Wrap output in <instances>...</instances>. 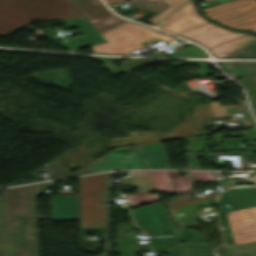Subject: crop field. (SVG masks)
<instances>
[{
  "instance_id": "obj_1",
  "label": "crop field",
  "mask_w": 256,
  "mask_h": 256,
  "mask_svg": "<svg viewBox=\"0 0 256 256\" xmlns=\"http://www.w3.org/2000/svg\"><path fill=\"white\" fill-rule=\"evenodd\" d=\"M46 184L0 193V256H37L34 196Z\"/></svg>"
},
{
  "instance_id": "obj_2",
  "label": "crop field",
  "mask_w": 256,
  "mask_h": 256,
  "mask_svg": "<svg viewBox=\"0 0 256 256\" xmlns=\"http://www.w3.org/2000/svg\"><path fill=\"white\" fill-rule=\"evenodd\" d=\"M132 211L137 225L154 237L149 239L154 251L166 250L168 256H211L207 245L180 243L160 201Z\"/></svg>"
},
{
  "instance_id": "obj_3",
  "label": "crop field",
  "mask_w": 256,
  "mask_h": 256,
  "mask_svg": "<svg viewBox=\"0 0 256 256\" xmlns=\"http://www.w3.org/2000/svg\"><path fill=\"white\" fill-rule=\"evenodd\" d=\"M65 0H7L0 2V35L11 34L34 20L79 17Z\"/></svg>"
},
{
  "instance_id": "obj_4",
  "label": "crop field",
  "mask_w": 256,
  "mask_h": 256,
  "mask_svg": "<svg viewBox=\"0 0 256 256\" xmlns=\"http://www.w3.org/2000/svg\"><path fill=\"white\" fill-rule=\"evenodd\" d=\"M107 42L92 46L94 53L133 55L132 50L142 49V42L163 38L164 41L178 40L147 26L126 21L102 33Z\"/></svg>"
},
{
  "instance_id": "obj_5",
  "label": "crop field",
  "mask_w": 256,
  "mask_h": 256,
  "mask_svg": "<svg viewBox=\"0 0 256 256\" xmlns=\"http://www.w3.org/2000/svg\"><path fill=\"white\" fill-rule=\"evenodd\" d=\"M80 228H104L108 173L79 178Z\"/></svg>"
},
{
  "instance_id": "obj_6",
  "label": "crop field",
  "mask_w": 256,
  "mask_h": 256,
  "mask_svg": "<svg viewBox=\"0 0 256 256\" xmlns=\"http://www.w3.org/2000/svg\"><path fill=\"white\" fill-rule=\"evenodd\" d=\"M206 15L229 27L256 30V1L234 0L204 10Z\"/></svg>"
},
{
  "instance_id": "obj_7",
  "label": "crop field",
  "mask_w": 256,
  "mask_h": 256,
  "mask_svg": "<svg viewBox=\"0 0 256 256\" xmlns=\"http://www.w3.org/2000/svg\"><path fill=\"white\" fill-rule=\"evenodd\" d=\"M177 34L191 38L208 48H212L216 45L245 35L243 33L224 29L213 23H208Z\"/></svg>"
},
{
  "instance_id": "obj_8",
  "label": "crop field",
  "mask_w": 256,
  "mask_h": 256,
  "mask_svg": "<svg viewBox=\"0 0 256 256\" xmlns=\"http://www.w3.org/2000/svg\"><path fill=\"white\" fill-rule=\"evenodd\" d=\"M227 216L236 243L256 240V218L247 209L229 212Z\"/></svg>"
},
{
  "instance_id": "obj_9",
  "label": "crop field",
  "mask_w": 256,
  "mask_h": 256,
  "mask_svg": "<svg viewBox=\"0 0 256 256\" xmlns=\"http://www.w3.org/2000/svg\"><path fill=\"white\" fill-rule=\"evenodd\" d=\"M206 23L208 21L197 13L193 3H188L165 20L159 28L177 33Z\"/></svg>"
},
{
  "instance_id": "obj_10",
  "label": "crop field",
  "mask_w": 256,
  "mask_h": 256,
  "mask_svg": "<svg viewBox=\"0 0 256 256\" xmlns=\"http://www.w3.org/2000/svg\"><path fill=\"white\" fill-rule=\"evenodd\" d=\"M68 28L78 27L84 36L67 38L71 50L105 42L103 36L89 23L86 18L63 20Z\"/></svg>"
},
{
  "instance_id": "obj_11",
  "label": "crop field",
  "mask_w": 256,
  "mask_h": 256,
  "mask_svg": "<svg viewBox=\"0 0 256 256\" xmlns=\"http://www.w3.org/2000/svg\"><path fill=\"white\" fill-rule=\"evenodd\" d=\"M200 106H202V108L198 106L195 107L193 116L192 113H186L184 122L181 123L188 134L196 131L197 127L205 123L210 118L227 117L225 106L221 107L220 103L218 102H210ZM192 124H196L197 126L194 127ZM188 128L190 129L189 131Z\"/></svg>"
},
{
  "instance_id": "obj_12",
  "label": "crop field",
  "mask_w": 256,
  "mask_h": 256,
  "mask_svg": "<svg viewBox=\"0 0 256 256\" xmlns=\"http://www.w3.org/2000/svg\"><path fill=\"white\" fill-rule=\"evenodd\" d=\"M104 157H107L108 161L100 162L97 160L88 165V168L92 173L116 168H143L142 163H140L137 158L136 152H112ZM91 168H93V170Z\"/></svg>"
},
{
  "instance_id": "obj_13",
  "label": "crop field",
  "mask_w": 256,
  "mask_h": 256,
  "mask_svg": "<svg viewBox=\"0 0 256 256\" xmlns=\"http://www.w3.org/2000/svg\"><path fill=\"white\" fill-rule=\"evenodd\" d=\"M52 221H77V196H50Z\"/></svg>"
},
{
  "instance_id": "obj_14",
  "label": "crop field",
  "mask_w": 256,
  "mask_h": 256,
  "mask_svg": "<svg viewBox=\"0 0 256 256\" xmlns=\"http://www.w3.org/2000/svg\"><path fill=\"white\" fill-rule=\"evenodd\" d=\"M80 1L88 7L84 10L93 17L88 20L100 33L125 21L109 12L104 5L94 6L90 0Z\"/></svg>"
},
{
  "instance_id": "obj_15",
  "label": "crop field",
  "mask_w": 256,
  "mask_h": 256,
  "mask_svg": "<svg viewBox=\"0 0 256 256\" xmlns=\"http://www.w3.org/2000/svg\"><path fill=\"white\" fill-rule=\"evenodd\" d=\"M136 148L147 169H169L162 144L154 143Z\"/></svg>"
},
{
  "instance_id": "obj_16",
  "label": "crop field",
  "mask_w": 256,
  "mask_h": 256,
  "mask_svg": "<svg viewBox=\"0 0 256 256\" xmlns=\"http://www.w3.org/2000/svg\"><path fill=\"white\" fill-rule=\"evenodd\" d=\"M131 177L122 178L126 187H137V193L156 191L146 171H129ZM128 181L129 183H126Z\"/></svg>"
},
{
  "instance_id": "obj_17",
  "label": "crop field",
  "mask_w": 256,
  "mask_h": 256,
  "mask_svg": "<svg viewBox=\"0 0 256 256\" xmlns=\"http://www.w3.org/2000/svg\"><path fill=\"white\" fill-rule=\"evenodd\" d=\"M74 149L79 158L76 157L73 148L63 153L71 169L83 167L85 164L92 161L90 152L85 143L74 147Z\"/></svg>"
},
{
  "instance_id": "obj_18",
  "label": "crop field",
  "mask_w": 256,
  "mask_h": 256,
  "mask_svg": "<svg viewBox=\"0 0 256 256\" xmlns=\"http://www.w3.org/2000/svg\"><path fill=\"white\" fill-rule=\"evenodd\" d=\"M57 77H62L61 79L55 80L53 78H57ZM31 78L37 79L39 81H46L45 83H48L50 85L62 88L67 90L68 87L65 86H61L58 84H62V83H66L67 86L69 85H73V82L70 78V75L68 73V70H64V71H50V72H46V73H40V74H36L34 76H32Z\"/></svg>"
},
{
  "instance_id": "obj_19",
  "label": "crop field",
  "mask_w": 256,
  "mask_h": 256,
  "mask_svg": "<svg viewBox=\"0 0 256 256\" xmlns=\"http://www.w3.org/2000/svg\"><path fill=\"white\" fill-rule=\"evenodd\" d=\"M220 65L235 79L256 73V63H220Z\"/></svg>"
},
{
  "instance_id": "obj_20",
  "label": "crop field",
  "mask_w": 256,
  "mask_h": 256,
  "mask_svg": "<svg viewBox=\"0 0 256 256\" xmlns=\"http://www.w3.org/2000/svg\"><path fill=\"white\" fill-rule=\"evenodd\" d=\"M227 194L246 208L256 206V191L250 187H238L227 191Z\"/></svg>"
},
{
  "instance_id": "obj_21",
  "label": "crop field",
  "mask_w": 256,
  "mask_h": 256,
  "mask_svg": "<svg viewBox=\"0 0 256 256\" xmlns=\"http://www.w3.org/2000/svg\"><path fill=\"white\" fill-rule=\"evenodd\" d=\"M254 39H256V36L247 35L242 38H239L234 41H231L226 44L215 47L213 49H210V51L216 57H223V56L243 47L244 45L248 44L249 42L253 41Z\"/></svg>"
},
{
  "instance_id": "obj_22",
  "label": "crop field",
  "mask_w": 256,
  "mask_h": 256,
  "mask_svg": "<svg viewBox=\"0 0 256 256\" xmlns=\"http://www.w3.org/2000/svg\"><path fill=\"white\" fill-rule=\"evenodd\" d=\"M125 65L120 66L124 71L128 72L133 69L139 68L144 65L148 64H153V63H158L162 62L160 60H147V59H128L125 61H121ZM104 68H106L110 73H112L114 76L123 73L120 69H118L115 65L109 64V65H104Z\"/></svg>"
},
{
  "instance_id": "obj_23",
  "label": "crop field",
  "mask_w": 256,
  "mask_h": 256,
  "mask_svg": "<svg viewBox=\"0 0 256 256\" xmlns=\"http://www.w3.org/2000/svg\"><path fill=\"white\" fill-rule=\"evenodd\" d=\"M156 190L162 192H175L166 172L147 171Z\"/></svg>"
},
{
  "instance_id": "obj_24",
  "label": "crop field",
  "mask_w": 256,
  "mask_h": 256,
  "mask_svg": "<svg viewBox=\"0 0 256 256\" xmlns=\"http://www.w3.org/2000/svg\"><path fill=\"white\" fill-rule=\"evenodd\" d=\"M253 140H256V136L224 139L218 151L256 150V147H242L241 141H253ZM233 149H236V150H233Z\"/></svg>"
},
{
  "instance_id": "obj_25",
  "label": "crop field",
  "mask_w": 256,
  "mask_h": 256,
  "mask_svg": "<svg viewBox=\"0 0 256 256\" xmlns=\"http://www.w3.org/2000/svg\"><path fill=\"white\" fill-rule=\"evenodd\" d=\"M214 201H215V198L204 201V202H200V203H197V204H193V205H190V206H186V207H183V208H180V209H176V210H173V211H169V214L172 216V218L174 220L189 217V216H193V215H197V214H200V213H197L198 212V206L206 205V204H212V203H214ZM180 226L183 227V226H186V225L183 224V225H180Z\"/></svg>"
},
{
  "instance_id": "obj_26",
  "label": "crop field",
  "mask_w": 256,
  "mask_h": 256,
  "mask_svg": "<svg viewBox=\"0 0 256 256\" xmlns=\"http://www.w3.org/2000/svg\"><path fill=\"white\" fill-rule=\"evenodd\" d=\"M217 194H218V192L210 194V195H207L206 197L201 198V199H192V200H189L186 197V196L191 195V194H186L184 196L172 199V200H170V202H168V203H166L164 205L169 207V208H167L168 211H169V210L180 208V207H183V206H186V205H190V204H193V203L204 201V200H207V199H210V198H214V197H216Z\"/></svg>"
},
{
  "instance_id": "obj_27",
  "label": "crop field",
  "mask_w": 256,
  "mask_h": 256,
  "mask_svg": "<svg viewBox=\"0 0 256 256\" xmlns=\"http://www.w3.org/2000/svg\"><path fill=\"white\" fill-rule=\"evenodd\" d=\"M135 144L163 141L159 132H129Z\"/></svg>"
},
{
  "instance_id": "obj_28",
  "label": "crop field",
  "mask_w": 256,
  "mask_h": 256,
  "mask_svg": "<svg viewBox=\"0 0 256 256\" xmlns=\"http://www.w3.org/2000/svg\"><path fill=\"white\" fill-rule=\"evenodd\" d=\"M163 1L166 2L169 5V7L159 12L154 17L148 19L144 23H148L152 25L157 24L187 0H163Z\"/></svg>"
},
{
  "instance_id": "obj_29",
  "label": "crop field",
  "mask_w": 256,
  "mask_h": 256,
  "mask_svg": "<svg viewBox=\"0 0 256 256\" xmlns=\"http://www.w3.org/2000/svg\"><path fill=\"white\" fill-rule=\"evenodd\" d=\"M244 208V206L229 198L226 192L218 197V214Z\"/></svg>"
},
{
  "instance_id": "obj_30",
  "label": "crop field",
  "mask_w": 256,
  "mask_h": 256,
  "mask_svg": "<svg viewBox=\"0 0 256 256\" xmlns=\"http://www.w3.org/2000/svg\"><path fill=\"white\" fill-rule=\"evenodd\" d=\"M130 2L135 5L136 9L147 10L152 12H159L164 8L168 7V5L164 3L162 0H159L157 2L146 0H130Z\"/></svg>"
},
{
  "instance_id": "obj_31",
  "label": "crop field",
  "mask_w": 256,
  "mask_h": 256,
  "mask_svg": "<svg viewBox=\"0 0 256 256\" xmlns=\"http://www.w3.org/2000/svg\"><path fill=\"white\" fill-rule=\"evenodd\" d=\"M226 108L228 117H233L239 124H243L244 126H253L241 105H228ZM236 113H241L242 119H238Z\"/></svg>"
},
{
  "instance_id": "obj_32",
  "label": "crop field",
  "mask_w": 256,
  "mask_h": 256,
  "mask_svg": "<svg viewBox=\"0 0 256 256\" xmlns=\"http://www.w3.org/2000/svg\"><path fill=\"white\" fill-rule=\"evenodd\" d=\"M126 196L133 203L132 209L159 200L157 194H130Z\"/></svg>"
},
{
  "instance_id": "obj_33",
  "label": "crop field",
  "mask_w": 256,
  "mask_h": 256,
  "mask_svg": "<svg viewBox=\"0 0 256 256\" xmlns=\"http://www.w3.org/2000/svg\"><path fill=\"white\" fill-rule=\"evenodd\" d=\"M56 178L70 176V173L65 166L62 157H58L52 162L48 163Z\"/></svg>"
},
{
  "instance_id": "obj_34",
  "label": "crop field",
  "mask_w": 256,
  "mask_h": 256,
  "mask_svg": "<svg viewBox=\"0 0 256 256\" xmlns=\"http://www.w3.org/2000/svg\"><path fill=\"white\" fill-rule=\"evenodd\" d=\"M227 252L248 251L251 256H256V241L246 244L223 245Z\"/></svg>"
},
{
  "instance_id": "obj_35",
  "label": "crop field",
  "mask_w": 256,
  "mask_h": 256,
  "mask_svg": "<svg viewBox=\"0 0 256 256\" xmlns=\"http://www.w3.org/2000/svg\"><path fill=\"white\" fill-rule=\"evenodd\" d=\"M226 57H256V40Z\"/></svg>"
},
{
  "instance_id": "obj_36",
  "label": "crop field",
  "mask_w": 256,
  "mask_h": 256,
  "mask_svg": "<svg viewBox=\"0 0 256 256\" xmlns=\"http://www.w3.org/2000/svg\"><path fill=\"white\" fill-rule=\"evenodd\" d=\"M249 92L250 100L256 99V75L238 80Z\"/></svg>"
},
{
  "instance_id": "obj_37",
  "label": "crop field",
  "mask_w": 256,
  "mask_h": 256,
  "mask_svg": "<svg viewBox=\"0 0 256 256\" xmlns=\"http://www.w3.org/2000/svg\"><path fill=\"white\" fill-rule=\"evenodd\" d=\"M177 51L180 57H206V54L198 47L189 50L179 49Z\"/></svg>"
},
{
  "instance_id": "obj_38",
  "label": "crop field",
  "mask_w": 256,
  "mask_h": 256,
  "mask_svg": "<svg viewBox=\"0 0 256 256\" xmlns=\"http://www.w3.org/2000/svg\"><path fill=\"white\" fill-rule=\"evenodd\" d=\"M172 183L176 193L182 192V191H189L192 189L189 179L175 180V181H172Z\"/></svg>"
},
{
  "instance_id": "obj_39",
  "label": "crop field",
  "mask_w": 256,
  "mask_h": 256,
  "mask_svg": "<svg viewBox=\"0 0 256 256\" xmlns=\"http://www.w3.org/2000/svg\"><path fill=\"white\" fill-rule=\"evenodd\" d=\"M193 181H215L211 172H191Z\"/></svg>"
},
{
  "instance_id": "obj_40",
  "label": "crop field",
  "mask_w": 256,
  "mask_h": 256,
  "mask_svg": "<svg viewBox=\"0 0 256 256\" xmlns=\"http://www.w3.org/2000/svg\"><path fill=\"white\" fill-rule=\"evenodd\" d=\"M181 128H179L178 126L175 128V132L172 130L168 133H163L162 136L165 138L164 141L166 140H172L171 138H168V136L172 137L173 139H178V138H183L184 135H187V132L184 130V128L181 126V124L179 125ZM183 132H185V134H183Z\"/></svg>"
},
{
  "instance_id": "obj_41",
  "label": "crop field",
  "mask_w": 256,
  "mask_h": 256,
  "mask_svg": "<svg viewBox=\"0 0 256 256\" xmlns=\"http://www.w3.org/2000/svg\"><path fill=\"white\" fill-rule=\"evenodd\" d=\"M125 142H130L126 144H120V143H125ZM133 144L132 140L130 137H125V138H113L109 142V147H114V146H120V145H129Z\"/></svg>"
},
{
  "instance_id": "obj_42",
  "label": "crop field",
  "mask_w": 256,
  "mask_h": 256,
  "mask_svg": "<svg viewBox=\"0 0 256 256\" xmlns=\"http://www.w3.org/2000/svg\"><path fill=\"white\" fill-rule=\"evenodd\" d=\"M70 5H72L74 8L78 9L81 11V16H85L89 18L90 16L82 9L85 8L86 6L83 5L79 0H66ZM80 16V17H81Z\"/></svg>"
},
{
  "instance_id": "obj_43",
  "label": "crop field",
  "mask_w": 256,
  "mask_h": 256,
  "mask_svg": "<svg viewBox=\"0 0 256 256\" xmlns=\"http://www.w3.org/2000/svg\"><path fill=\"white\" fill-rule=\"evenodd\" d=\"M216 256H250L248 252L238 253H215Z\"/></svg>"
},
{
  "instance_id": "obj_44",
  "label": "crop field",
  "mask_w": 256,
  "mask_h": 256,
  "mask_svg": "<svg viewBox=\"0 0 256 256\" xmlns=\"http://www.w3.org/2000/svg\"><path fill=\"white\" fill-rule=\"evenodd\" d=\"M167 174H168L170 180L185 179V178H179L178 173L176 171H167ZM186 178H189V175L187 173H186Z\"/></svg>"
},
{
  "instance_id": "obj_45",
  "label": "crop field",
  "mask_w": 256,
  "mask_h": 256,
  "mask_svg": "<svg viewBox=\"0 0 256 256\" xmlns=\"http://www.w3.org/2000/svg\"><path fill=\"white\" fill-rule=\"evenodd\" d=\"M92 58L104 63L119 60V59H113V58H99V57H92Z\"/></svg>"
},
{
  "instance_id": "obj_46",
  "label": "crop field",
  "mask_w": 256,
  "mask_h": 256,
  "mask_svg": "<svg viewBox=\"0 0 256 256\" xmlns=\"http://www.w3.org/2000/svg\"><path fill=\"white\" fill-rule=\"evenodd\" d=\"M122 1H126V0H106V2L108 4H116V3H120ZM152 1H157V0H152Z\"/></svg>"
},
{
  "instance_id": "obj_47",
  "label": "crop field",
  "mask_w": 256,
  "mask_h": 256,
  "mask_svg": "<svg viewBox=\"0 0 256 256\" xmlns=\"http://www.w3.org/2000/svg\"><path fill=\"white\" fill-rule=\"evenodd\" d=\"M250 102L252 104V108H253L254 112L256 113V100H252Z\"/></svg>"
},
{
  "instance_id": "obj_48",
  "label": "crop field",
  "mask_w": 256,
  "mask_h": 256,
  "mask_svg": "<svg viewBox=\"0 0 256 256\" xmlns=\"http://www.w3.org/2000/svg\"><path fill=\"white\" fill-rule=\"evenodd\" d=\"M256 217V207L248 209Z\"/></svg>"
},
{
  "instance_id": "obj_49",
  "label": "crop field",
  "mask_w": 256,
  "mask_h": 256,
  "mask_svg": "<svg viewBox=\"0 0 256 256\" xmlns=\"http://www.w3.org/2000/svg\"><path fill=\"white\" fill-rule=\"evenodd\" d=\"M234 185H235V183L232 182V183H228V184H225V185H221V187L224 189V188H226V187L234 186Z\"/></svg>"
},
{
  "instance_id": "obj_50",
  "label": "crop field",
  "mask_w": 256,
  "mask_h": 256,
  "mask_svg": "<svg viewBox=\"0 0 256 256\" xmlns=\"http://www.w3.org/2000/svg\"><path fill=\"white\" fill-rule=\"evenodd\" d=\"M97 256H104V254H97Z\"/></svg>"
},
{
  "instance_id": "obj_51",
  "label": "crop field",
  "mask_w": 256,
  "mask_h": 256,
  "mask_svg": "<svg viewBox=\"0 0 256 256\" xmlns=\"http://www.w3.org/2000/svg\"><path fill=\"white\" fill-rule=\"evenodd\" d=\"M1 1V0H0Z\"/></svg>"
}]
</instances>
